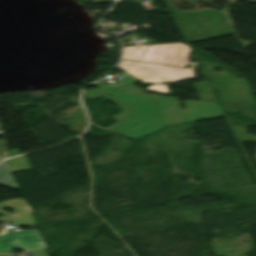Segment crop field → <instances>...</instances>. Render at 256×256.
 Returning <instances> with one entry per match:
<instances>
[{
  "mask_svg": "<svg viewBox=\"0 0 256 256\" xmlns=\"http://www.w3.org/2000/svg\"><path fill=\"white\" fill-rule=\"evenodd\" d=\"M136 83L135 78L127 75L121 78L119 85L102 86L95 83L93 85L99 89L84 93L88 98L102 95L116 106L125 107L122 108V113L113 117L118 123L106 128L107 130L137 139L167 125L223 115L206 81L193 84L200 101L184 102L185 110L180 109L181 102L177 98L146 94L134 86Z\"/></svg>",
  "mask_w": 256,
  "mask_h": 256,
  "instance_id": "1",
  "label": "crop field"
},
{
  "mask_svg": "<svg viewBox=\"0 0 256 256\" xmlns=\"http://www.w3.org/2000/svg\"><path fill=\"white\" fill-rule=\"evenodd\" d=\"M196 63H191L190 69L136 63L122 61L118 67L126 73L134 76L137 81L159 83L147 88L150 92L168 95V86L160 85V83H173L195 78L192 70L195 69Z\"/></svg>",
  "mask_w": 256,
  "mask_h": 256,
  "instance_id": "2",
  "label": "crop field"
},
{
  "mask_svg": "<svg viewBox=\"0 0 256 256\" xmlns=\"http://www.w3.org/2000/svg\"><path fill=\"white\" fill-rule=\"evenodd\" d=\"M147 46L124 47L123 59L182 67L188 66L190 50L185 44H157L150 45L149 48ZM134 47L137 48L134 49ZM145 50L148 52H145Z\"/></svg>",
  "mask_w": 256,
  "mask_h": 256,
  "instance_id": "3",
  "label": "crop field"
},
{
  "mask_svg": "<svg viewBox=\"0 0 256 256\" xmlns=\"http://www.w3.org/2000/svg\"><path fill=\"white\" fill-rule=\"evenodd\" d=\"M17 248L29 250L33 256H47L44 251L45 245L37 231H22L0 236V252L12 253V249Z\"/></svg>",
  "mask_w": 256,
  "mask_h": 256,
  "instance_id": "4",
  "label": "crop field"
},
{
  "mask_svg": "<svg viewBox=\"0 0 256 256\" xmlns=\"http://www.w3.org/2000/svg\"><path fill=\"white\" fill-rule=\"evenodd\" d=\"M2 208H11L14 213L3 212ZM0 221H9L16 226H32L36 225L27 202L18 198L7 202L0 203Z\"/></svg>",
  "mask_w": 256,
  "mask_h": 256,
  "instance_id": "5",
  "label": "crop field"
},
{
  "mask_svg": "<svg viewBox=\"0 0 256 256\" xmlns=\"http://www.w3.org/2000/svg\"><path fill=\"white\" fill-rule=\"evenodd\" d=\"M0 185L17 190L16 182L12 176L7 162L0 164Z\"/></svg>",
  "mask_w": 256,
  "mask_h": 256,
  "instance_id": "6",
  "label": "crop field"
},
{
  "mask_svg": "<svg viewBox=\"0 0 256 256\" xmlns=\"http://www.w3.org/2000/svg\"><path fill=\"white\" fill-rule=\"evenodd\" d=\"M13 173L32 169L28 159L24 156L7 160Z\"/></svg>",
  "mask_w": 256,
  "mask_h": 256,
  "instance_id": "7",
  "label": "crop field"
},
{
  "mask_svg": "<svg viewBox=\"0 0 256 256\" xmlns=\"http://www.w3.org/2000/svg\"><path fill=\"white\" fill-rule=\"evenodd\" d=\"M11 229H4L0 235H3V234H7V233H10Z\"/></svg>",
  "mask_w": 256,
  "mask_h": 256,
  "instance_id": "8",
  "label": "crop field"
},
{
  "mask_svg": "<svg viewBox=\"0 0 256 256\" xmlns=\"http://www.w3.org/2000/svg\"><path fill=\"white\" fill-rule=\"evenodd\" d=\"M249 2H256V0H248Z\"/></svg>",
  "mask_w": 256,
  "mask_h": 256,
  "instance_id": "9",
  "label": "crop field"
},
{
  "mask_svg": "<svg viewBox=\"0 0 256 256\" xmlns=\"http://www.w3.org/2000/svg\"><path fill=\"white\" fill-rule=\"evenodd\" d=\"M1 160H3V159L0 158V161H1Z\"/></svg>",
  "mask_w": 256,
  "mask_h": 256,
  "instance_id": "10",
  "label": "crop field"
}]
</instances>
